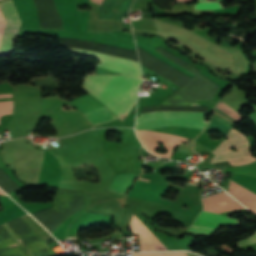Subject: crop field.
Wrapping results in <instances>:
<instances>
[{
    "instance_id": "8a807250",
    "label": "crop field",
    "mask_w": 256,
    "mask_h": 256,
    "mask_svg": "<svg viewBox=\"0 0 256 256\" xmlns=\"http://www.w3.org/2000/svg\"><path fill=\"white\" fill-rule=\"evenodd\" d=\"M140 81V78L126 75H94L87 76L81 87L103 102L123 121L136 103Z\"/></svg>"
},
{
    "instance_id": "ac0d7876",
    "label": "crop field",
    "mask_w": 256,
    "mask_h": 256,
    "mask_svg": "<svg viewBox=\"0 0 256 256\" xmlns=\"http://www.w3.org/2000/svg\"><path fill=\"white\" fill-rule=\"evenodd\" d=\"M206 113L155 112L141 114L136 120V129H153L161 126H184L202 129Z\"/></svg>"
},
{
    "instance_id": "34b2d1b8",
    "label": "crop field",
    "mask_w": 256,
    "mask_h": 256,
    "mask_svg": "<svg viewBox=\"0 0 256 256\" xmlns=\"http://www.w3.org/2000/svg\"><path fill=\"white\" fill-rule=\"evenodd\" d=\"M228 140H224L212 153L216 154L211 164L228 160L231 165L249 164L256 161V157H252L249 149V143L245 136L231 129L227 135ZM236 147L237 151L230 150Z\"/></svg>"
},
{
    "instance_id": "412701ff",
    "label": "crop field",
    "mask_w": 256,
    "mask_h": 256,
    "mask_svg": "<svg viewBox=\"0 0 256 256\" xmlns=\"http://www.w3.org/2000/svg\"><path fill=\"white\" fill-rule=\"evenodd\" d=\"M4 3H5V6L9 12L11 18H12V29H11V19L7 13ZM4 3L3 2L0 3V13L4 20V25H3L2 17L0 15V33H1L2 25H3V30H2V34H1V38H0V56L4 55V53H5L6 43H7L8 37H9L10 29H11V33H10V37L8 39V44H7V49H6L5 55L13 54L19 27L21 24V22L17 16V13L15 11V8L12 4V1L11 0L6 1Z\"/></svg>"
},
{
    "instance_id": "f4fd0767",
    "label": "crop field",
    "mask_w": 256,
    "mask_h": 256,
    "mask_svg": "<svg viewBox=\"0 0 256 256\" xmlns=\"http://www.w3.org/2000/svg\"><path fill=\"white\" fill-rule=\"evenodd\" d=\"M238 224V219L202 211L188 231L210 237L218 226L228 225L235 227Z\"/></svg>"
},
{
    "instance_id": "dd49c442",
    "label": "crop field",
    "mask_w": 256,
    "mask_h": 256,
    "mask_svg": "<svg viewBox=\"0 0 256 256\" xmlns=\"http://www.w3.org/2000/svg\"><path fill=\"white\" fill-rule=\"evenodd\" d=\"M69 50L73 53H79L81 55L90 56V57H93V54H94L90 52H84V51H78V50H72V49H69ZM93 58L100 60V62L97 64L98 66L142 78L140 67L137 62L113 58V57H109V56H105L97 53L94 54Z\"/></svg>"
},
{
    "instance_id": "e52e79f7",
    "label": "crop field",
    "mask_w": 256,
    "mask_h": 256,
    "mask_svg": "<svg viewBox=\"0 0 256 256\" xmlns=\"http://www.w3.org/2000/svg\"><path fill=\"white\" fill-rule=\"evenodd\" d=\"M130 229L140 234L141 251L167 249L135 215L132 216Z\"/></svg>"
},
{
    "instance_id": "d8731c3e",
    "label": "crop field",
    "mask_w": 256,
    "mask_h": 256,
    "mask_svg": "<svg viewBox=\"0 0 256 256\" xmlns=\"http://www.w3.org/2000/svg\"><path fill=\"white\" fill-rule=\"evenodd\" d=\"M202 201L204 210L216 213L245 208L225 192L208 197Z\"/></svg>"
},
{
    "instance_id": "5a996713",
    "label": "crop field",
    "mask_w": 256,
    "mask_h": 256,
    "mask_svg": "<svg viewBox=\"0 0 256 256\" xmlns=\"http://www.w3.org/2000/svg\"><path fill=\"white\" fill-rule=\"evenodd\" d=\"M229 190L253 201L256 203V194L252 193L251 191L239 186L237 183L233 182L230 180V186H229ZM228 191L229 194H231L235 199H237L240 203H242L245 207H247L249 210L253 211L254 213H256V204L231 192Z\"/></svg>"
},
{
    "instance_id": "3316defc",
    "label": "crop field",
    "mask_w": 256,
    "mask_h": 256,
    "mask_svg": "<svg viewBox=\"0 0 256 256\" xmlns=\"http://www.w3.org/2000/svg\"><path fill=\"white\" fill-rule=\"evenodd\" d=\"M84 116L92 125L116 119V117L106 107L84 113Z\"/></svg>"
},
{
    "instance_id": "28ad6ade",
    "label": "crop field",
    "mask_w": 256,
    "mask_h": 256,
    "mask_svg": "<svg viewBox=\"0 0 256 256\" xmlns=\"http://www.w3.org/2000/svg\"><path fill=\"white\" fill-rule=\"evenodd\" d=\"M137 177L133 174H118L114 181L112 186L110 187L111 190H115L118 192H121L125 194V192L128 190L132 180ZM134 181V180H133ZM133 183V182H132ZM132 185V184H131ZM131 187V186H130Z\"/></svg>"
},
{
    "instance_id": "d1516ede",
    "label": "crop field",
    "mask_w": 256,
    "mask_h": 256,
    "mask_svg": "<svg viewBox=\"0 0 256 256\" xmlns=\"http://www.w3.org/2000/svg\"><path fill=\"white\" fill-rule=\"evenodd\" d=\"M207 128L217 130L218 132L226 135L232 127H230V126H228V125H226V124H224V123H222V122H220L217 119H214L212 117L211 122H210V124Z\"/></svg>"
},
{
    "instance_id": "22f410ed",
    "label": "crop field",
    "mask_w": 256,
    "mask_h": 256,
    "mask_svg": "<svg viewBox=\"0 0 256 256\" xmlns=\"http://www.w3.org/2000/svg\"><path fill=\"white\" fill-rule=\"evenodd\" d=\"M12 97V94H2L0 98ZM13 101L0 102V116L10 114L12 109Z\"/></svg>"
},
{
    "instance_id": "cbeb9de0",
    "label": "crop field",
    "mask_w": 256,
    "mask_h": 256,
    "mask_svg": "<svg viewBox=\"0 0 256 256\" xmlns=\"http://www.w3.org/2000/svg\"><path fill=\"white\" fill-rule=\"evenodd\" d=\"M133 256H186L185 252L142 253Z\"/></svg>"
},
{
    "instance_id": "5142ce71",
    "label": "crop field",
    "mask_w": 256,
    "mask_h": 256,
    "mask_svg": "<svg viewBox=\"0 0 256 256\" xmlns=\"http://www.w3.org/2000/svg\"><path fill=\"white\" fill-rule=\"evenodd\" d=\"M195 9H222L220 3H197Z\"/></svg>"
},
{
    "instance_id": "d9b57169",
    "label": "crop field",
    "mask_w": 256,
    "mask_h": 256,
    "mask_svg": "<svg viewBox=\"0 0 256 256\" xmlns=\"http://www.w3.org/2000/svg\"><path fill=\"white\" fill-rule=\"evenodd\" d=\"M255 242H256V231L250 237L239 241L238 242V247L246 246V245H249V244L255 243Z\"/></svg>"
},
{
    "instance_id": "733c2abd",
    "label": "crop field",
    "mask_w": 256,
    "mask_h": 256,
    "mask_svg": "<svg viewBox=\"0 0 256 256\" xmlns=\"http://www.w3.org/2000/svg\"><path fill=\"white\" fill-rule=\"evenodd\" d=\"M91 1H93V2H95L97 4H101V2H102V0H91Z\"/></svg>"
},
{
    "instance_id": "4a817a6b",
    "label": "crop field",
    "mask_w": 256,
    "mask_h": 256,
    "mask_svg": "<svg viewBox=\"0 0 256 256\" xmlns=\"http://www.w3.org/2000/svg\"><path fill=\"white\" fill-rule=\"evenodd\" d=\"M201 1H207V0H201ZM218 1H227V0H218Z\"/></svg>"
},
{
    "instance_id": "bc2a9ffb",
    "label": "crop field",
    "mask_w": 256,
    "mask_h": 256,
    "mask_svg": "<svg viewBox=\"0 0 256 256\" xmlns=\"http://www.w3.org/2000/svg\"><path fill=\"white\" fill-rule=\"evenodd\" d=\"M0 194L6 195V194H4L1 190H0Z\"/></svg>"
},
{
    "instance_id": "214f88e0",
    "label": "crop field",
    "mask_w": 256,
    "mask_h": 256,
    "mask_svg": "<svg viewBox=\"0 0 256 256\" xmlns=\"http://www.w3.org/2000/svg\"><path fill=\"white\" fill-rule=\"evenodd\" d=\"M188 184H193V183H188ZM194 185H198V184H194Z\"/></svg>"
},
{
    "instance_id": "92a150f3",
    "label": "crop field",
    "mask_w": 256,
    "mask_h": 256,
    "mask_svg": "<svg viewBox=\"0 0 256 256\" xmlns=\"http://www.w3.org/2000/svg\"><path fill=\"white\" fill-rule=\"evenodd\" d=\"M140 179V178H139ZM141 180H144V179H141ZM145 181H148V180H145Z\"/></svg>"
}]
</instances>
